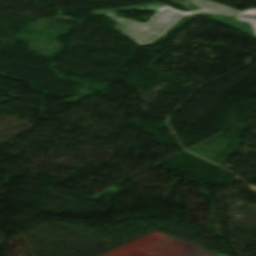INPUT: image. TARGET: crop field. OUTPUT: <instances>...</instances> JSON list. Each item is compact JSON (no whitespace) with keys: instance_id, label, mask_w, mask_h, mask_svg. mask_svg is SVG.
<instances>
[{"instance_id":"crop-field-1","label":"crop field","mask_w":256,"mask_h":256,"mask_svg":"<svg viewBox=\"0 0 256 256\" xmlns=\"http://www.w3.org/2000/svg\"><path fill=\"white\" fill-rule=\"evenodd\" d=\"M191 2L203 9L195 12L186 13L173 10L167 5L153 3L116 9L97 10L93 11L92 13L104 14L109 18L113 19L114 21L118 22L119 24L115 27L116 29H118L121 33L133 39L137 43L144 45L150 44L152 41L159 38L183 16L199 12H212L229 15H234L240 12L207 0H191ZM129 8L153 9L156 10L157 13L146 24L129 19L124 20L113 13V11Z\"/></svg>"},{"instance_id":"crop-field-2","label":"crop field","mask_w":256,"mask_h":256,"mask_svg":"<svg viewBox=\"0 0 256 256\" xmlns=\"http://www.w3.org/2000/svg\"><path fill=\"white\" fill-rule=\"evenodd\" d=\"M236 16H245V17H256V9H251L245 12H241Z\"/></svg>"},{"instance_id":"crop-field-3","label":"crop field","mask_w":256,"mask_h":256,"mask_svg":"<svg viewBox=\"0 0 256 256\" xmlns=\"http://www.w3.org/2000/svg\"><path fill=\"white\" fill-rule=\"evenodd\" d=\"M236 19L241 20V21H249V23L253 26V29L256 33V19L255 18H236Z\"/></svg>"}]
</instances>
